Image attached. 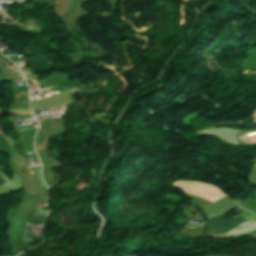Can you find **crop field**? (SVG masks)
<instances>
[{"label":"crop field","instance_id":"crop-field-2","mask_svg":"<svg viewBox=\"0 0 256 256\" xmlns=\"http://www.w3.org/2000/svg\"><path fill=\"white\" fill-rule=\"evenodd\" d=\"M38 197L36 195H25V197L23 198V202H31V203H37L38 201Z\"/></svg>","mask_w":256,"mask_h":256},{"label":"crop field","instance_id":"crop-field-1","mask_svg":"<svg viewBox=\"0 0 256 256\" xmlns=\"http://www.w3.org/2000/svg\"><path fill=\"white\" fill-rule=\"evenodd\" d=\"M240 219L245 220H256V215H253L247 211H243V213L239 216ZM236 219L235 221L225 220V214L221 216H214L209 219L207 232L208 234H221L227 233L236 226L246 222L245 220Z\"/></svg>","mask_w":256,"mask_h":256},{"label":"crop field","instance_id":"crop-field-4","mask_svg":"<svg viewBox=\"0 0 256 256\" xmlns=\"http://www.w3.org/2000/svg\"><path fill=\"white\" fill-rule=\"evenodd\" d=\"M30 128H27V129H21V130H19V131H23V130H29Z\"/></svg>","mask_w":256,"mask_h":256},{"label":"crop field","instance_id":"crop-field-3","mask_svg":"<svg viewBox=\"0 0 256 256\" xmlns=\"http://www.w3.org/2000/svg\"><path fill=\"white\" fill-rule=\"evenodd\" d=\"M5 183L4 179L2 177H0V185Z\"/></svg>","mask_w":256,"mask_h":256},{"label":"crop field","instance_id":"crop-field-5","mask_svg":"<svg viewBox=\"0 0 256 256\" xmlns=\"http://www.w3.org/2000/svg\"><path fill=\"white\" fill-rule=\"evenodd\" d=\"M27 224H28V222H27ZM26 227H27V225H26Z\"/></svg>","mask_w":256,"mask_h":256},{"label":"crop field","instance_id":"crop-field-6","mask_svg":"<svg viewBox=\"0 0 256 256\" xmlns=\"http://www.w3.org/2000/svg\"><path fill=\"white\" fill-rule=\"evenodd\" d=\"M35 103V102H34ZM34 103H33V105H34Z\"/></svg>","mask_w":256,"mask_h":256}]
</instances>
